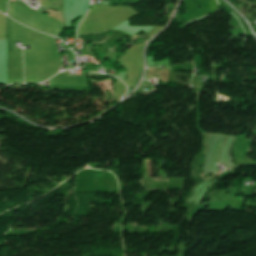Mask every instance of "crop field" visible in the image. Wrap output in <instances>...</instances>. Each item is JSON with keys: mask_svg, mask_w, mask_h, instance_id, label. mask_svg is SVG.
<instances>
[{"mask_svg": "<svg viewBox=\"0 0 256 256\" xmlns=\"http://www.w3.org/2000/svg\"><path fill=\"white\" fill-rule=\"evenodd\" d=\"M8 20V49L16 48L14 42L21 41L23 46L49 37L46 34L38 33L24 27L9 18Z\"/></svg>", "mask_w": 256, "mask_h": 256, "instance_id": "8a807250", "label": "crop field"}, {"mask_svg": "<svg viewBox=\"0 0 256 256\" xmlns=\"http://www.w3.org/2000/svg\"><path fill=\"white\" fill-rule=\"evenodd\" d=\"M7 0H0V11L6 13L7 6H6Z\"/></svg>", "mask_w": 256, "mask_h": 256, "instance_id": "ac0d7876", "label": "crop field"}]
</instances>
